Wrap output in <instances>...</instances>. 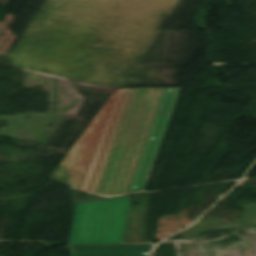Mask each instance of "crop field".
<instances>
[{
    "instance_id": "crop-field-2",
    "label": "crop field",
    "mask_w": 256,
    "mask_h": 256,
    "mask_svg": "<svg viewBox=\"0 0 256 256\" xmlns=\"http://www.w3.org/2000/svg\"><path fill=\"white\" fill-rule=\"evenodd\" d=\"M123 90H126V89H120V90H115L114 91V93L110 96V98L106 101V103L103 105V107L97 113V115L95 116L93 121L90 123V125L87 127V129L84 131V133L81 135V137L75 143V145L72 147V149L66 155V157L63 159V161L60 163V165L57 167V169L54 171V173L52 174L51 178H53V179H55V180H57L59 182H62V183L66 184V185H68V186H70V187H72V188H74L76 190H79L81 182H82V179H83V176L85 174V171H86L87 166L89 164V161L91 159L92 153L94 151V148L96 146V143H97L98 138L100 136V133L102 131V128L104 126L106 118L108 116V113H109V110H110L111 105L113 103V100L115 98V95H116L117 91H120V93L118 95V98L116 100V103L114 105V108L112 110V113L110 115V118L108 120V123L106 125V128L104 130V133L102 135V138L100 140V143L98 145V148L96 150V153L94 155V158L92 160V163L90 165V168L88 170V173H87V176H86L85 181L83 183V186L81 188L82 191L88 192L87 191L88 186L90 184L93 172L95 170L97 161L99 159L102 147L104 145L106 136L108 134L111 122L113 120V117H114L115 111L117 109V106H118V103H119V100H120V97L122 95ZM101 111H104V113L102 115L100 123H99V125L97 127V130H96L95 135L93 137V140L91 142V145H90V148H89L88 153L86 155V158H85V161L83 163L82 169H81V171L79 173L78 170L80 168V165L82 163L84 155H85V153L87 151V148H88L89 143L91 141V138L93 136V133H94V130H95L96 124L98 122V119H99ZM85 134H86V136H85ZM84 136H85V139H84ZM83 139H84V142H83ZM82 142H83V146H82L79 158H78V162H77L75 170H73L75 162H76V159H77V156H78V153H79L81 145H82ZM73 152H74V154H73V156L71 158V161H70V163H69V165L67 167L66 165H67V163H68V161H69V159H70V157H71Z\"/></svg>"
},
{
    "instance_id": "crop-field-1",
    "label": "crop field",
    "mask_w": 256,
    "mask_h": 256,
    "mask_svg": "<svg viewBox=\"0 0 256 256\" xmlns=\"http://www.w3.org/2000/svg\"><path fill=\"white\" fill-rule=\"evenodd\" d=\"M130 203L127 196L76 204L68 244H122Z\"/></svg>"
},
{
    "instance_id": "crop-field-3",
    "label": "crop field",
    "mask_w": 256,
    "mask_h": 256,
    "mask_svg": "<svg viewBox=\"0 0 256 256\" xmlns=\"http://www.w3.org/2000/svg\"><path fill=\"white\" fill-rule=\"evenodd\" d=\"M71 256H148L152 245L67 246Z\"/></svg>"
}]
</instances>
